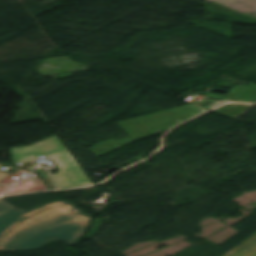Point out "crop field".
Instances as JSON below:
<instances>
[{
    "label": "crop field",
    "mask_w": 256,
    "mask_h": 256,
    "mask_svg": "<svg viewBox=\"0 0 256 256\" xmlns=\"http://www.w3.org/2000/svg\"><path fill=\"white\" fill-rule=\"evenodd\" d=\"M91 222L69 201L25 213L0 199V251L40 249L52 240L76 245Z\"/></svg>",
    "instance_id": "crop-field-1"
},
{
    "label": "crop field",
    "mask_w": 256,
    "mask_h": 256,
    "mask_svg": "<svg viewBox=\"0 0 256 256\" xmlns=\"http://www.w3.org/2000/svg\"><path fill=\"white\" fill-rule=\"evenodd\" d=\"M11 149L14 163L28 162L42 155L50 157L60 168L53 176L61 189L92 184L56 136L30 147Z\"/></svg>",
    "instance_id": "crop-field-2"
},
{
    "label": "crop field",
    "mask_w": 256,
    "mask_h": 256,
    "mask_svg": "<svg viewBox=\"0 0 256 256\" xmlns=\"http://www.w3.org/2000/svg\"><path fill=\"white\" fill-rule=\"evenodd\" d=\"M226 256H256V236Z\"/></svg>",
    "instance_id": "crop-field-3"
},
{
    "label": "crop field",
    "mask_w": 256,
    "mask_h": 256,
    "mask_svg": "<svg viewBox=\"0 0 256 256\" xmlns=\"http://www.w3.org/2000/svg\"><path fill=\"white\" fill-rule=\"evenodd\" d=\"M1 166V164H0ZM10 173H0V181L5 178L7 175H9Z\"/></svg>",
    "instance_id": "crop-field-4"
}]
</instances>
